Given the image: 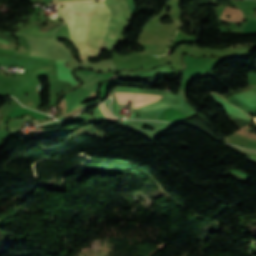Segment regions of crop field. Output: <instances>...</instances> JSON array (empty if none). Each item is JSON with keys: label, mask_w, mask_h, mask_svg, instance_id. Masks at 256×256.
Instances as JSON below:
<instances>
[{"label": "crop field", "mask_w": 256, "mask_h": 256, "mask_svg": "<svg viewBox=\"0 0 256 256\" xmlns=\"http://www.w3.org/2000/svg\"><path fill=\"white\" fill-rule=\"evenodd\" d=\"M104 1L111 9L112 17ZM104 1H99V3L93 1L70 3L58 8L59 14L66 18L71 43L78 51L80 59H87L88 57L101 54L99 53V45L105 34L110 17L111 20L103 40L108 42L118 39L126 10L124 25L119 36V39H121L122 32L125 29L128 10L123 0L121 2L125 10L119 0ZM66 21L64 24L54 23L47 26L34 21L30 28L14 34L56 41L62 39L69 40Z\"/></svg>", "instance_id": "crop-field-1"}, {"label": "crop field", "mask_w": 256, "mask_h": 256, "mask_svg": "<svg viewBox=\"0 0 256 256\" xmlns=\"http://www.w3.org/2000/svg\"><path fill=\"white\" fill-rule=\"evenodd\" d=\"M116 99L119 105H126L127 102L134 101V105L138 104H148L152 101L159 100L163 96L155 95V94H145V93H131V92H115ZM132 104V103H131ZM141 106V105H138ZM138 106H132V108H136Z\"/></svg>", "instance_id": "crop-field-2"}, {"label": "crop field", "mask_w": 256, "mask_h": 256, "mask_svg": "<svg viewBox=\"0 0 256 256\" xmlns=\"http://www.w3.org/2000/svg\"><path fill=\"white\" fill-rule=\"evenodd\" d=\"M76 75L78 78L84 81L82 87L95 93L98 92L99 84L106 79V77L103 75H99L85 70L76 71Z\"/></svg>", "instance_id": "crop-field-3"}, {"label": "crop field", "mask_w": 256, "mask_h": 256, "mask_svg": "<svg viewBox=\"0 0 256 256\" xmlns=\"http://www.w3.org/2000/svg\"><path fill=\"white\" fill-rule=\"evenodd\" d=\"M56 68H57V76H58V79L60 80H65V81H69L71 82L72 84L76 85L78 84L79 82L76 81L72 74H71V71H73L72 69H70L68 66H67V60H57L56 62Z\"/></svg>", "instance_id": "crop-field-4"}, {"label": "crop field", "mask_w": 256, "mask_h": 256, "mask_svg": "<svg viewBox=\"0 0 256 256\" xmlns=\"http://www.w3.org/2000/svg\"><path fill=\"white\" fill-rule=\"evenodd\" d=\"M225 15L232 16V19L226 18ZM223 20L232 21V22H241L243 20V14L240 9H233L226 7L224 12L221 15Z\"/></svg>", "instance_id": "crop-field-5"}, {"label": "crop field", "mask_w": 256, "mask_h": 256, "mask_svg": "<svg viewBox=\"0 0 256 256\" xmlns=\"http://www.w3.org/2000/svg\"><path fill=\"white\" fill-rule=\"evenodd\" d=\"M128 4V8L131 10L130 19L132 20L134 16H136L138 12V8L136 5V0H126Z\"/></svg>", "instance_id": "crop-field-6"}, {"label": "crop field", "mask_w": 256, "mask_h": 256, "mask_svg": "<svg viewBox=\"0 0 256 256\" xmlns=\"http://www.w3.org/2000/svg\"><path fill=\"white\" fill-rule=\"evenodd\" d=\"M99 108L101 109L102 113L111 121L117 119L116 117H114L110 111L108 110L107 106L105 105V103H102L100 105H98Z\"/></svg>", "instance_id": "crop-field-7"}, {"label": "crop field", "mask_w": 256, "mask_h": 256, "mask_svg": "<svg viewBox=\"0 0 256 256\" xmlns=\"http://www.w3.org/2000/svg\"><path fill=\"white\" fill-rule=\"evenodd\" d=\"M71 1H81V0H55L54 3L60 4V3H63V2H71Z\"/></svg>", "instance_id": "crop-field-8"}, {"label": "crop field", "mask_w": 256, "mask_h": 256, "mask_svg": "<svg viewBox=\"0 0 256 256\" xmlns=\"http://www.w3.org/2000/svg\"><path fill=\"white\" fill-rule=\"evenodd\" d=\"M0 42H1V43H4V44H7L8 40H7V39L0 38Z\"/></svg>", "instance_id": "crop-field-9"}, {"label": "crop field", "mask_w": 256, "mask_h": 256, "mask_svg": "<svg viewBox=\"0 0 256 256\" xmlns=\"http://www.w3.org/2000/svg\"><path fill=\"white\" fill-rule=\"evenodd\" d=\"M44 2H45V3H49V2H50V0H44Z\"/></svg>", "instance_id": "crop-field-10"}]
</instances>
